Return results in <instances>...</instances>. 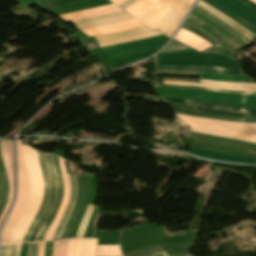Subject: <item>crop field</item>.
<instances>
[{"instance_id":"crop-field-7","label":"crop field","mask_w":256,"mask_h":256,"mask_svg":"<svg viewBox=\"0 0 256 256\" xmlns=\"http://www.w3.org/2000/svg\"><path fill=\"white\" fill-rule=\"evenodd\" d=\"M59 163H60V168H61V173H62V178H63V182H64V196L62 199V203L61 206L57 212V215L54 219V221L52 222L47 234L44 237L43 241H48V240H52L53 236H54V232L55 229L60 221V218L62 216V213L67 205V202L69 200V191H70V185H69V177H68V172H67V168H66V164L65 161L59 158Z\"/></svg>"},{"instance_id":"crop-field-19","label":"crop field","mask_w":256,"mask_h":256,"mask_svg":"<svg viewBox=\"0 0 256 256\" xmlns=\"http://www.w3.org/2000/svg\"><path fill=\"white\" fill-rule=\"evenodd\" d=\"M20 245L21 243L1 245L0 256H19ZM27 256H37V243H29Z\"/></svg>"},{"instance_id":"crop-field-20","label":"crop field","mask_w":256,"mask_h":256,"mask_svg":"<svg viewBox=\"0 0 256 256\" xmlns=\"http://www.w3.org/2000/svg\"><path fill=\"white\" fill-rule=\"evenodd\" d=\"M194 10L200 12L201 14H203L204 16H206L208 19H210L211 21H213L214 23L220 25L221 27L225 28L226 30H228L229 32H231L233 35H235L237 38H239L242 42H244L245 44L248 43L249 40L248 38H246L244 35H242L241 33H239L238 31H236L235 29H233L232 27H230L229 25H227L226 23H224L223 21H221L220 19H218L217 17H215L214 15H212L211 13L207 12L206 10L202 9L199 6H195Z\"/></svg>"},{"instance_id":"crop-field-16","label":"crop field","mask_w":256,"mask_h":256,"mask_svg":"<svg viewBox=\"0 0 256 256\" xmlns=\"http://www.w3.org/2000/svg\"><path fill=\"white\" fill-rule=\"evenodd\" d=\"M174 39L196 49L197 51L211 47L209 43H207L200 37L182 29H180V31L176 34Z\"/></svg>"},{"instance_id":"crop-field-6","label":"crop field","mask_w":256,"mask_h":256,"mask_svg":"<svg viewBox=\"0 0 256 256\" xmlns=\"http://www.w3.org/2000/svg\"><path fill=\"white\" fill-rule=\"evenodd\" d=\"M112 5H113V4L106 5V6H102V7H98V8H94V9L78 11V12H74V13H70V14H66V15H60L59 17H60L62 20L65 19L67 22H70V21H74V20H78V19H82V18L94 16V15H99V14H103V13H107V12L119 10V8H117V7H115V6H112ZM108 6H112V7H108ZM104 7H108V8H104ZM99 8H104V9H99ZM95 9H99V10H95ZM91 10H95V11H91ZM86 11H91V12H86ZM82 12H86V13H82ZM78 13H82V14H78ZM122 13H125V12H124L123 10H119V11H115V12H111V13H107V14H103V15H99V16H95V17H90V18H86V19L74 21V22H71V23L77 24V23H82V22H87V21L102 19V18H106V17H111V16H115V15H118V14H122ZM73 14H78V15L66 17V18H64V19L62 18V17L69 16V15H73ZM65 20H64V21H65ZM66 21H65V22H66ZM67 22H66V23H67Z\"/></svg>"},{"instance_id":"crop-field-40","label":"crop field","mask_w":256,"mask_h":256,"mask_svg":"<svg viewBox=\"0 0 256 256\" xmlns=\"http://www.w3.org/2000/svg\"><path fill=\"white\" fill-rule=\"evenodd\" d=\"M136 0H127L124 3H122L121 5H119L120 7H122L123 9L128 7L129 5H131L132 3H134Z\"/></svg>"},{"instance_id":"crop-field-43","label":"crop field","mask_w":256,"mask_h":256,"mask_svg":"<svg viewBox=\"0 0 256 256\" xmlns=\"http://www.w3.org/2000/svg\"><path fill=\"white\" fill-rule=\"evenodd\" d=\"M181 87H189V86H181ZM191 88H201V87H191ZM209 89V88H206ZM212 90H217V89H212ZM219 91H224V90H219ZM229 92H235V91H229ZM237 93H256V92H237Z\"/></svg>"},{"instance_id":"crop-field-46","label":"crop field","mask_w":256,"mask_h":256,"mask_svg":"<svg viewBox=\"0 0 256 256\" xmlns=\"http://www.w3.org/2000/svg\"><path fill=\"white\" fill-rule=\"evenodd\" d=\"M1 195H2V183H1V178H0V199H1Z\"/></svg>"},{"instance_id":"crop-field-10","label":"crop field","mask_w":256,"mask_h":256,"mask_svg":"<svg viewBox=\"0 0 256 256\" xmlns=\"http://www.w3.org/2000/svg\"><path fill=\"white\" fill-rule=\"evenodd\" d=\"M45 160H46V166H47V170H48L49 177H50L51 194H50V198H49L47 208H46L43 216L41 217L40 221L38 222L35 230L33 231L29 241H35L42 225L44 224L46 218L48 217V215L50 213V210L53 206V203L55 201V196H56V179H55L53 166H52V162H51V155L45 154Z\"/></svg>"},{"instance_id":"crop-field-39","label":"crop field","mask_w":256,"mask_h":256,"mask_svg":"<svg viewBox=\"0 0 256 256\" xmlns=\"http://www.w3.org/2000/svg\"><path fill=\"white\" fill-rule=\"evenodd\" d=\"M45 242L38 244V256H43Z\"/></svg>"},{"instance_id":"crop-field-49","label":"crop field","mask_w":256,"mask_h":256,"mask_svg":"<svg viewBox=\"0 0 256 256\" xmlns=\"http://www.w3.org/2000/svg\"><path fill=\"white\" fill-rule=\"evenodd\" d=\"M186 256H191V255L188 254V255H186Z\"/></svg>"},{"instance_id":"crop-field-28","label":"crop field","mask_w":256,"mask_h":256,"mask_svg":"<svg viewBox=\"0 0 256 256\" xmlns=\"http://www.w3.org/2000/svg\"><path fill=\"white\" fill-rule=\"evenodd\" d=\"M0 175H1V178H2V182H3V196H2L1 201L7 202L9 188H8V181H7V178H6V174H5V170H4V165L2 163L1 155H0Z\"/></svg>"},{"instance_id":"crop-field-29","label":"crop field","mask_w":256,"mask_h":256,"mask_svg":"<svg viewBox=\"0 0 256 256\" xmlns=\"http://www.w3.org/2000/svg\"><path fill=\"white\" fill-rule=\"evenodd\" d=\"M75 1H79V0H51V1L43 2V3H38L35 5H37L41 9L45 10V9H49V8H52L55 6H59V5H63V4H67V3H71V2H75Z\"/></svg>"},{"instance_id":"crop-field-30","label":"crop field","mask_w":256,"mask_h":256,"mask_svg":"<svg viewBox=\"0 0 256 256\" xmlns=\"http://www.w3.org/2000/svg\"><path fill=\"white\" fill-rule=\"evenodd\" d=\"M67 240L54 242L53 256H65Z\"/></svg>"},{"instance_id":"crop-field-8","label":"crop field","mask_w":256,"mask_h":256,"mask_svg":"<svg viewBox=\"0 0 256 256\" xmlns=\"http://www.w3.org/2000/svg\"><path fill=\"white\" fill-rule=\"evenodd\" d=\"M173 109L178 113L211 118V119H219V120H228V121H238V122H255L256 123V115L251 114H243L244 118H233V117H224V116H215L208 114H201L198 110L197 106L193 105H183V104H174L169 103Z\"/></svg>"},{"instance_id":"crop-field-23","label":"crop field","mask_w":256,"mask_h":256,"mask_svg":"<svg viewBox=\"0 0 256 256\" xmlns=\"http://www.w3.org/2000/svg\"><path fill=\"white\" fill-rule=\"evenodd\" d=\"M157 35H161V34L156 31H152V32H148V33H143V34L127 37V38L112 40V41H108V42H102V43H98V44L100 47L112 46V45H116V44H121V43L130 42V41L149 38V37H153V36H157Z\"/></svg>"},{"instance_id":"crop-field-15","label":"crop field","mask_w":256,"mask_h":256,"mask_svg":"<svg viewBox=\"0 0 256 256\" xmlns=\"http://www.w3.org/2000/svg\"><path fill=\"white\" fill-rule=\"evenodd\" d=\"M188 0H176L172 10L155 30L166 34L177 22Z\"/></svg>"},{"instance_id":"crop-field-4","label":"crop field","mask_w":256,"mask_h":256,"mask_svg":"<svg viewBox=\"0 0 256 256\" xmlns=\"http://www.w3.org/2000/svg\"><path fill=\"white\" fill-rule=\"evenodd\" d=\"M157 1L158 0H138L124 10L132 16H134L135 18H137L146 11H148L151 7H153ZM174 1L175 0L158 1L157 4L152 9L143 14L138 19L154 29L168 14Z\"/></svg>"},{"instance_id":"crop-field-45","label":"crop field","mask_w":256,"mask_h":256,"mask_svg":"<svg viewBox=\"0 0 256 256\" xmlns=\"http://www.w3.org/2000/svg\"><path fill=\"white\" fill-rule=\"evenodd\" d=\"M5 204L6 203H0V215H1V213H2V211L4 209V207H5Z\"/></svg>"},{"instance_id":"crop-field-25","label":"crop field","mask_w":256,"mask_h":256,"mask_svg":"<svg viewBox=\"0 0 256 256\" xmlns=\"http://www.w3.org/2000/svg\"><path fill=\"white\" fill-rule=\"evenodd\" d=\"M163 84H169V85H190V86H201V87H210V88H219V89H229V90L256 91V88H235V87L218 86V85H206V84L183 83V82H170V81H164Z\"/></svg>"},{"instance_id":"crop-field-13","label":"crop field","mask_w":256,"mask_h":256,"mask_svg":"<svg viewBox=\"0 0 256 256\" xmlns=\"http://www.w3.org/2000/svg\"><path fill=\"white\" fill-rule=\"evenodd\" d=\"M144 26L142 23L137 20H129L115 24L103 25L95 28L83 29L82 31L86 33L88 36H94L99 34H109L115 33L119 31H124L136 27Z\"/></svg>"},{"instance_id":"crop-field-35","label":"crop field","mask_w":256,"mask_h":256,"mask_svg":"<svg viewBox=\"0 0 256 256\" xmlns=\"http://www.w3.org/2000/svg\"><path fill=\"white\" fill-rule=\"evenodd\" d=\"M90 239H83L81 256H87Z\"/></svg>"},{"instance_id":"crop-field-37","label":"crop field","mask_w":256,"mask_h":256,"mask_svg":"<svg viewBox=\"0 0 256 256\" xmlns=\"http://www.w3.org/2000/svg\"><path fill=\"white\" fill-rule=\"evenodd\" d=\"M97 240L91 239L90 248H89V256H94L95 248H96Z\"/></svg>"},{"instance_id":"crop-field-21","label":"crop field","mask_w":256,"mask_h":256,"mask_svg":"<svg viewBox=\"0 0 256 256\" xmlns=\"http://www.w3.org/2000/svg\"><path fill=\"white\" fill-rule=\"evenodd\" d=\"M163 99L165 101L175 102V103L193 104V105H198V106H203V107L216 108V109H219V110H226V111H234V112H240V113L256 114V110L236 109V108H231V107L212 105V104H206V103H201V102H192V101H187V100H176V99H167V98H163Z\"/></svg>"},{"instance_id":"crop-field-27","label":"crop field","mask_w":256,"mask_h":256,"mask_svg":"<svg viewBox=\"0 0 256 256\" xmlns=\"http://www.w3.org/2000/svg\"><path fill=\"white\" fill-rule=\"evenodd\" d=\"M93 208L94 206H91L89 205L86 212H85V215L80 223V226H79V229H78V232L76 234V237H83L84 233H85V230H86V227H87V223H88V220L90 218V215L93 211Z\"/></svg>"},{"instance_id":"crop-field-9","label":"crop field","mask_w":256,"mask_h":256,"mask_svg":"<svg viewBox=\"0 0 256 256\" xmlns=\"http://www.w3.org/2000/svg\"><path fill=\"white\" fill-rule=\"evenodd\" d=\"M157 71H182L242 75L240 68H216L207 66H157Z\"/></svg>"},{"instance_id":"crop-field-17","label":"crop field","mask_w":256,"mask_h":256,"mask_svg":"<svg viewBox=\"0 0 256 256\" xmlns=\"http://www.w3.org/2000/svg\"><path fill=\"white\" fill-rule=\"evenodd\" d=\"M70 176V181H71V193H70V200L68 202V206L61 218V221L59 223V226L57 228V231L55 233L54 240L60 239V236L62 234V231L64 229L66 220L68 218V215L74 205L75 197H76V181H75V176L74 175H69Z\"/></svg>"},{"instance_id":"crop-field-5","label":"crop field","mask_w":256,"mask_h":256,"mask_svg":"<svg viewBox=\"0 0 256 256\" xmlns=\"http://www.w3.org/2000/svg\"><path fill=\"white\" fill-rule=\"evenodd\" d=\"M76 180H77V197H76L75 205L67 221V224L65 226L61 239L71 237V234L74 230L75 224L79 218L81 209L86 199V195H87L86 176H76Z\"/></svg>"},{"instance_id":"crop-field-2","label":"crop field","mask_w":256,"mask_h":256,"mask_svg":"<svg viewBox=\"0 0 256 256\" xmlns=\"http://www.w3.org/2000/svg\"><path fill=\"white\" fill-rule=\"evenodd\" d=\"M190 127L191 131L256 143V124L233 123L186 116L176 113Z\"/></svg>"},{"instance_id":"crop-field-31","label":"crop field","mask_w":256,"mask_h":256,"mask_svg":"<svg viewBox=\"0 0 256 256\" xmlns=\"http://www.w3.org/2000/svg\"><path fill=\"white\" fill-rule=\"evenodd\" d=\"M182 29H186L198 36H200L201 38L207 40V42H209L212 46H217L220 47L219 44L215 43L213 40H211L209 37H207L206 35H204L203 33H201L200 31H198L197 29H195L194 27L184 23V25L182 26Z\"/></svg>"},{"instance_id":"crop-field-44","label":"crop field","mask_w":256,"mask_h":256,"mask_svg":"<svg viewBox=\"0 0 256 256\" xmlns=\"http://www.w3.org/2000/svg\"><path fill=\"white\" fill-rule=\"evenodd\" d=\"M152 256H168V255H167L166 251H164V252H161V253L154 254Z\"/></svg>"},{"instance_id":"crop-field-38","label":"crop field","mask_w":256,"mask_h":256,"mask_svg":"<svg viewBox=\"0 0 256 256\" xmlns=\"http://www.w3.org/2000/svg\"><path fill=\"white\" fill-rule=\"evenodd\" d=\"M240 2H242L243 4H245L246 6H248L249 8H251L252 10H254L256 12V4L248 1V0H239Z\"/></svg>"},{"instance_id":"crop-field-1","label":"crop field","mask_w":256,"mask_h":256,"mask_svg":"<svg viewBox=\"0 0 256 256\" xmlns=\"http://www.w3.org/2000/svg\"><path fill=\"white\" fill-rule=\"evenodd\" d=\"M22 151L29 176L30 199L21 219L17 223L9 239V242L22 241L24 233L35 216L43 198V181L36 151L26 145H22Z\"/></svg>"},{"instance_id":"crop-field-48","label":"crop field","mask_w":256,"mask_h":256,"mask_svg":"<svg viewBox=\"0 0 256 256\" xmlns=\"http://www.w3.org/2000/svg\"><path fill=\"white\" fill-rule=\"evenodd\" d=\"M155 91L157 92L156 88L154 87Z\"/></svg>"},{"instance_id":"crop-field-32","label":"crop field","mask_w":256,"mask_h":256,"mask_svg":"<svg viewBox=\"0 0 256 256\" xmlns=\"http://www.w3.org/2000/svg\"><path fill=\"white\" fill-rule=\"evenodd\" d=\"M200 83H211V84H219V85L238 86V87H256V84H248V83L217 82V81H206V80H200Z\"/></svg>"},{"instance_id":"crop-field-34","label":"crop field","mask_w":256,"mask_h":256,"mask_svg":"<svg viewBox=\"0 0 256 256\" xmlns=\"http://www.w3.org/2000/svg\"><path fill=\"white\" fill-rule=\"evenodd\" d=\"M82 239H76L74 256H80Z\"/></svg>"},{"instance_id":"crop-field-18","label":"crop field","mask_w":256,"mask_h":256,"mask_svg":"<svg viewBox=\"0 0 256 256\" xmlns=\"http://www.w3.org/2000/svg\"><path fill=\"white\" fill-rule=\"evenodd\" d=\"M197 5L201 6L202 8L206 9L207 11L211 12L212 14H214L215 16H217L218 18H220L221 20H223L224 22H226L227 24H229L230 26H232L233 28H235L236 30L241 32L242 34H244L249 39L252 40L256 37L253 34H251L249 31H247L245 28H243L241 25H239L237 22L229 19L224 14H222L221 12L217 11L216 9L210 7L209 5L205 4L204 2L199 0Z\"/></svg>"},{"instance_id":"crop-field-47","label":"crop field","mask_w":256,"mask_h":256,"mask_svg":"<svg viewBox=\"0 0 256 256\" xmlns=\"http://www.w3.org/2000/svg\"><path fill=\"white\" fill-rule=\"evenodd\" d=\"M250 1H252V2L256 3V0H250Z\"/></svg>"},{"instance_id":"crop-field-11","label":"crop field","mask_w":256,"mask_h":256,"mask_svg":"<svg viewBox=\"0 0 256 256\" xmlns=\"http://www.w3.org/2000/svg\"><path fill=\"white\" fill-rule=\"evenodd\" d=\"M37 154H38V158H39V163L41 165L42 177H43V181H44V198L42 200L40 209H39L38 213L36 214L34 220L32 221L31 225L29 226L27 233L22 242L28 241L35 225L39 221L42 213L44 212V210L46 208L48 198H49V193H50V184H49L48 173H47L45 163H44V154L40 153V152H37Z\"/></svg>"},{"instance_id":"crop-field-12","label":"crop field","mask_w":256,"mask_h":256,"mask_svg":"<svg viewBox=\"0 0 256 256\" xmlns=\"http://www.w3.org/2000/svg\"><path fill=\"white\" fill-rule=\"evenodd\" d=\"M52 161H53V165H54V170H55V174H56V179H57V198L55 201V205L44 225V227L42 228V230L40 231L36 241H42L43 237L45 235V233L47 232L51 222L53 221L56 212L60 206V202L62 199V195H63V182H62V178H61V173H60V168H59V164H58V158L52 155Z\"/></svg>"},{"instance_id":"crop-field-33","label":"crop field","mask_w":256,"mask_h":256,"mask_svg":"<svg viewBox=\"0 0 256 256\" xmlns=\"http://www.w3.org/2000/svg\"><path fill=\"white\" fill-rule=\"evenodd\" d=\"M195 0H189L180 19L178 20V22L175 24V26L166 34L168 36L171 37V35L173 34V32L175 31V29L177 28V26L180 24V22L183 20V18L185 17V15L187 14L188 10L190 9V7L192 6V4L194 3ZM179 27V26H178ZM177 30V29H176Z\"/></svg>"},{"instance_id":"crop-field-3","label":"crop field","mask_w":256,"mask_h":256,"mask_svg":"<svg viewBox=\"0 0 256 256\" xmlns=\"http://www.w3.org/2000/svg\"><path fill=\"white\" fill-rule=\"evenodd\" d=\"M17 151V198L12 212L1 231V243L8 241L9 236L22 215L29 198V185L26 165L21 152L20 140L16 141Z\"/></svg>"},{"instance_id":"crop-field-42","label":"crop field","mask_w":256,"mask_h":256,"mask_svg":"<svg viewBox=\"0 0 256 256\" xmlns=\"http://www.w3.org/2000/svg\"><path fill=\"white\" fill-rule=\"evenodd\" d=\"M157 87H168V86H157ZM168 88H179V87H168ZM186 89H191V88H186ZM196 90H206V89H196ZM207 91H212V90H207ZM223 93H226V92H223ZM229 94H236V93H229ZM247 95H256V94H247Z\"/></svg>"},{"instance_id":"crop-field-41","label":"crop field","mask_w":256,"mask_h":256,"mask_svg":"<svg viewBox=\"0 0 256 256\" xmlns=\"http://www.w3.org/2000/svg\"><path fill=\"white\" fill-rule=\"evenodd\" d=\"M10 204H11V203H7L6 208H5V210L3 211V213H2V215H1V217H0V224H1V222H2V220H3V218H4L5 214H6V212H7V210H8Z\"/></svg>"},{"instance_id":"crop-field-26","label":"crop field","mask_w":256,"mask_h":256,"mask_svg":"<svg viewBox=\"0 0 256 256\" xmlns=\"http://www.w3.org/2000/svg\"><path fill=\"white\" fill-rule=\"evenodd\" d=\"M189 19H191L192 21L198 23L199 25H201L203 28L209 30L210 32H212L214 35H216L217 37H219L220 39H222L225 43H227L232 49H238L237 46H235L232 42H230L227 38H225L223 35H221L220 33H218L217 31H215L214 29H212L211 27H209L208 25L202 23L201 21H199L198 19L189 16Z\"/></svg>"},{"instance_id":"crop-field-14","label":"crop field","mask_w":256,"mask_h":256,"mask_svg":"<svg viewBox=\"0 0 256 256\" xmlns=\"http://www.w3.org/2000/svg\"><path fill=\"white\" fill-rule=\"evenodd\" d=\"M1 150L13 149V140H0ZM2 159L5 164L6 174L9 179L10 194L8 202H12L13 197V150L1 151Z\"/></svg>"},{"instance_id":"crop-field-36","label":"crop field","mask_w":256,"mask_h":256,"mask_svg":"<svg viewBox=\"0 0 256 256\" xmlns=\"http://www.w3.org/2000/svg\"><path fill=\"white\" fill-rule=\"evenodd\" d=\"M53 242H46L44 256H52Z\"/></svg>"},{"instance_id":"crop-field-22","label":"crop field","mask_w":256,"mask_h":256,"mask_svg":"<svg viewBox=\"0 0 256 256\" xmlns=\"http://www.w3.org/2000/svg\"><path fill=\"white\" fill-rule=\"evenodd\" d=\"M148 31H152V30L147 28L146 26H144V27H140V28L125 31V32L116 33V34L97 36V37H95V39L97 40V42H102V41H108V40H112V39H116V38H121V37L135 35V34H139V33H143V32H148Z\"/></svg>"},{"instance_id":"crop-field-24","label":"crop field","mask_w":256,"mask_h":256,"mask_svg":"<svg viewBox=\"0 0 256 256\" xmlns=\"http://www.w3.org/2000/svg\"><path fill=\"white\" fill-rule=\"evenodd\" d=\"M132 18H133L132 16L125 13V14H122V15H119V16H115V17H111V18H106V19H102V20H97V21L77 25L76 27L79 28V29H83V28H89V27H94V26L108 24V23L124 21V20L132 19Z\"/></svg>"}]
</instances>
